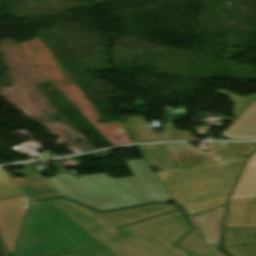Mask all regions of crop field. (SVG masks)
Returning a JSON list of instances; mask_svg holds the SVG:
<instances>
[{
  "label": "crop field",
  "mask_w": 256,
  "mask_h": 256,
  "mask_svg": "<svg viewBox=\"0 0 256 256\" xmlns=\"http://www.w3.org/2000/svg\"><path fill=\"white\" fill-rule=\"evenodd\" d=\"M193 228L179 205L154 202L100 211L60 196L30 201L13 256L103 247L116 256H190L174 244Z\"/></svg>",
  "instance_id": "8a807250"
},
{
  "label": "crop field",
  "mask_w": 256,
  "mask_h": 256,
  "mask_svg": "<svg viewBox=\"0 0 256 256\" xmlns=\"http://www.w3.org/2000/svg\"><path fill=\"white\" fill-rule=\"evenodd\" d=\"M59 171L48 179L39 177L40 171L32 164L23 165L18 173L24 178L15 179L4 168L1 170L31 199H43L64 195L100 210L148 203L137 200L117 182L105 174L75 177L56 163H50Z\"/></svg>",
  "instance_id": "ac0d7876"
},
{
  "label": "crop field",
  "mask_w": 256,
  "mask_h": 256,
  "mask_svg": "<svg viewBox=\"0 0 256 256\" xmlns=\"http://www.w3.org/2000/svg\"><path fill=\"white\" fill-rule=\"evenodd\" d=\"M248 156L156 172L174 203L193 215L225 205Z\"/></svg>",
  "instance_id": "34b2d1b8"
},
{
  "label": "crop field",
  "mask_w": 256,
  "mask_h": 256,
  "mask_svg": "<svg viewBox=\"0 0 256 256\" xmlns=\"http://www.w3.org/2000/svg\"><path fill=\"white\" fill-rule=\"evenodd\" d=\"M126 163L134 177L117 179L115 181L133 196L138 199L151 201L170 198L145 159L130 160L126 161Z\"/></svg>",
  "instance_id": "412701ff"
},
{
  "label": "crop field",
  "mask_w": 256,
  "mask_h": 256,
  "mask_svg": "<svg viewBox=\"0 0 256 256\" xmlns=\"http://www.w3.org/2000/svg\"><path fill=\"white\" fill-rule=\"evenodd\" d=\"M28 203L24 196L0 200V235L11 254H13Z\"/></svg>",
  "instance_id": "f4fd0767"
},
{
  "label": "crop field",
  "mask_w": 256,
  "mask_h": 256,
  "mask_svg": "<svg viewBox=\"0 0 256 256\" xmlns=\"http://www.w3.org/2000/svg\"><path fill=\"white\" fill-rule=\"evenodd\" d=\"M225 208L190 217L203 239L215 246L220 243Z\"/></svg>",
  "instance_id": "dd49c442"
},
{
  "label": "crop field",
  "mask_w": 256,
  "mask_h": 256,
  "mask_svg": "<svg viewBox=\"0 0 256 256\" xmlns=\"http://www.w3.org/2000/svg\"><path fill=\"white\" fill-rule=\"evenodd\" d=\"M226 227H256V199L230 200Z\"/></svg>",
  "instance_id": "e52e79f7"
},
{
  "label": "crop field",
  "mask_w": 256,
  "mask_h": 256,
  "mask_svg": "<svg viewBox=\"0 0 256 256\" xmlns=\"http://www.w3.org/2000/svg\"><path fill=\"white\" fill-rule=\"evenodd\" d=\"M162 146L171 153L178 168L216 161L212 153L201 152L190 144H168Z\"/></svg>",
  "instance_id": "d8731c3e"
},
{
  "label": "crop field",
  "mask_w": 256,
  "mask_h": 256,
  "mask_svg": "<svg viewBox=\"0 0 256 256\" xmlns=\"http://www.w3.org/2000/svg\"><path fill=\"white\" fill-rule=\"evenodd\" d=\"M222 135L230 139H256V101Z\"/></svg>",
  "instance_id": "5a996713"
},
{
  "label": "crop field",
  "mask_w": 256,
  "mask_h": 256,
  "mask_svg": "<svg viewBox=\"0 0 256 256\" xmlns=\"http://www.w3.org/2000/svg\"><path fill=\"white\" fill-rule=\"evenodd\" d=\"M256 198V153H254L237 184L231 199Z\"/></svg>",
  "instance_id": "3316defc"
},
{
  "label": "crop field",
  "mask_w": 256,
  "mask_h": 256,
  "mask_svg": "<svg viewBox=\"0 0 256 256\" xmlns=\"http://www.w3.org/2000/svg\"><path fill=\"white\" fill-rule=\"evenodd\" d=\"M175 245L195 256H226L216 247L203 241L196 229H193Z\"/></svg>",
  "instance_id": "28ad6ade"
},
{
  "label": "crop field",
  "mask_w": 256,
  "mask_h": 256,
  "mask_svg": "<svg viewBox=\"0 0 256 256\" xmlns=\"http://www.w3.org/2000/svg\"><path fill=\"white\" fill-rule=\"evenodd\" d=\"M138 149L150 167L160 171L176 168L170 154L161 145L140 146Z\"/></svg>",
  "instance_id": "d1516ede"
},
{
  "label": "crop field",
  "mask_w": 256,
  "mask_h": 256,
  "mask_svg": "<svg viewBox=\"0 0 256 256\" xmlns=\"http://www.w3.org/2000/svg\"><path fill=\"white\" fill-rule=\"evenodd\" d=\"M256 245V228H225L223 246Z\"/></svg>",
  "instance_id": "22f410ed"
},
{
  "label": "crop field",
  "mask_w": 256,
  "mask_h": 256,
  "mask_svg": "<svg viewBox=\"0 0 256 256\" xmlns=\"http://www.w3.org/2000/svg\"><path fill=\"white\" fill-rule=\"evenodd\" d=\"M213 150L218 161L246 156L252 153L256 149L254 144H213L208 143ZM225 147L226 149H221ZM251 155V154H250Z\"/></svg>",
  "instance_id": "cbeb9de0"
},
{
  "label": "crop field",
  "mask_w": 256,
  "mask_h": 256,
  "mask_svg": "<svg viewBox=\"0 0 256 256\" xmlns=\"http://www.w3.org/2000/svg\"><path fill=\"white\" fill-rule=\"evenodd\" d=\"M219 93L228 95L234 103V116L239 117L255 100L256 94L243 97L226 90H218Z\"/></svg>",
  "instance_id": "5142ce71"
},
{
  "label": "crop field",
  "mask_w": 256,
  "mask_h": 256,
  "mask_svg": "<svg viewBox=\"0 0 256 256\" xmlns=\"http://www.w3.org/2000/svg\"><path fill=\"white\" fill-rule=\"evenodd\" d=\"M23 195L0 171V199Z\"/></svg>",
  "instance_id": "d9b57169"
},
{
  "label": "crop field",
  "mask_w": 256,
  "mask_h": 256,
  "mask_svg": "<svg viewBox=\"0 0 256 256\" xmlns=\"http://www.w3.org/2000/svg\"><path fill=\"white\" fill-rule=\"evenodd\" d=\"M140 142L143 141H160L159 135L155 133L144 119L135 127Z\"/></svg>",
  "instance_id": "733c2abd"
},
{
  "label": "crop field",
  "mask_w": 256,
  "mask_h": 256,
  "mask_svg": "<svg viewBox=\"0 0 256 256\" xmlns=\"http://www.w3.org/2000/svg\"><path fill=\"white\" fill-rule=\"evenodd\" d=\"M168 124L165 125L164 134H162L163 140H183V139H197L192 138L189 132L175 131L172 123L166 120Z\"/></svg>",
  "instance_id": "4a817a6b"
},
{
  "label": "crop field",
  "mask_w": 256,
  "mask_h": 256,
  "mask_svg": "<svg viewBox=\"0 0 256 256\" xmlns=\"http://www.w3.org/2000/svg\"><path fill=\"white\" fill-rule=\"evenodd\" d=\"M230 256H256V246L223 247Z\"/></svg>",
  "instance_id": "bc2a9ffb"
},
{
  "label": "crop field",
  "mask_w": 256,
  "mask_h": 256,
  "mask_svg": "<svg viewBox=\"0 0 256 256\" xmlns=\"http://www.w3.org/2000/svg\"><path fill=\"white\" fill-rule=\"evenodd\" d=\"M62 256H115L107 248L85 251L80 253L62 255Z\"/></svg>",
  "instance_id": "214f88e0"
},
{
  "label": "crop field",
  "mask_w": 256,
  "mask_h": 256,
  "mask_svg": "<svg viewBox=\"0 0 256 256\" xmlns=\"http://www.w3.org/2000/svg\"><path fill=\"white\" fill-rule=\"evenodd\" d=\"M143 117H134L132 118H127L126 121L127 123H124L125 127L129 131L130 135L132 138L135 140V142H139V139L136 135V132L134 130V127L138 124V122L142 119Z\"/></svg>",
  "instance_id": "92a150f3"
},
{
  "label": "crop field",
  "mask_w": 256,
  "mask_h": 256,
  "mask_svg": "<svg viewBox=\"0 0 256 256\" xmlns=\"http://www.w3.org/2000/svg\"><path fill=\"white\" fill-rule=\"evenodd\" d=\"M0 256H11L9 251L6 249V247L3 245V243L0 241Z\"/></svg>",
  "instance_id": "dafd665d"
},
{
  "label": "crop field",
  "mask_w": 256,
  "mask_h": 256,
  "mask_svg": "<svg viewBox=\"0 0 256 256\" xmlns=\"http://www.w3.org/2000/svg\"><path fill=\"white\" fill-rule=\"evenodd\" d=\"M168 201H172L171 199H169V200H164V201H159V202H168Z\"/></svg>",
  "instance_id": "00972430"
},
{
  "label": "crop field",
  "mask_w": 256,
  "mask_h": 256,
  "mask_svg": "<svg viewBox=\"0 0 256 256\" xmlns=\"http://www.w3.org/2000/svg\"><path fill=\"white\" fill-rule=\"evenodd\" d=\"M1 240V239H0Z\"/></svg>",
  "instance_id": "a9b5d70f"
}]
</instances>
